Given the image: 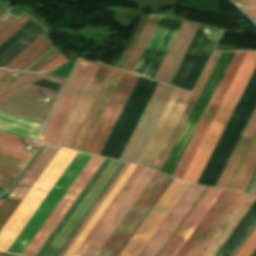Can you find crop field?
I'll return each instance as SVG.
<instances>
[{"mask_svg": "<svg viewBox=\"0 0 256 256\" xmlns=\"http://www.w3.org/2000/svg\"><path fill=\"white\" fill-rule=\"evenodd\" d=\"M235 54H236V52H235ZM235 54H234V56H235ZM245 54H246V52H237L235 58L233 56L234 60L232 58L233 62L231 60L232 64L230 62L231 66L229 64L230 68L228 66L229 70L227 68L228 72L226 70L227 74L225 72L226 76L224 74L225 78L223 76V78H224V80L222 78L223 82L221 80L222 84L220 82L221 86L219 84L220 88L218 86L219 90L217 88L218 92L216 90V92H217V93L215 92L216 95L214 93L215 97L213 95L214 99L212 97L213 101L211 99L212 103L210 101L211 105L209 103L210 107L208 105L209 109L207 107L208 111L206 109L207 113L205 111L206 115L204 113L205 117L203 115L204 119L202 117L203 121L201 119L202 123L200 121L201 125L199 123L200 127L198 125V127H199V129L197 127L198 131L196 129L197 133L195 131L196 135L194 133V135H195V136L193 135L194 138L192 136L193 140L191 138L192 142L190 140L191 144L189 142L190 146L188 144L189 148L187 146L188 150L186 148L187 152L185 150L186 154L184 152L185 156L183 154L184 158L182 156L183 160L181 158L182 162L180 160L181 164L179 162L180 166L178 164L179 168L177 166V168H178V170L176 168L177 172L175 170L176 174L174 172L175 177L183 180V178H184V176H185V174H186V172H187V170H188V168H189V166H190V164H191V162H192V160H193V158H194V156H195V154H196V152H197V150H198V148H199V146H200V144H201V142H202V140H203V138H204V136H205V134H206L242 60H243V58H244V56H245ZM255 64H256V51L255 52H247L241 66H240V68H239V70H238V72H237V74H236V76H235V78H234V80H233V82H232V84H231V86H230V88H229V90H228V92H227V94H226V96H225V98H224L188 172H187V174H186V176H185V178H184V181L194 182V183L197 182V180H198V178H199V176H200V174H201V172H202V170H203V168H204V166H205V164H206V162H207V160H208V158H209V156H210V154H211V152H212V150H213V148H214V146H215V144H216V142H217L253 68H254V66H255ZM174 174H173V176H174Z\"/></svg>", "mask_w": 256, "mask_h": 256, "instance_id": "obj_1", "label": "crop field"}, {"mask_svg": "<svg viewBox=\"0 0 256 256\" xmlns=\"http://www.w3.org/2000/svg\"><path fill=\"white\" fill-rule=\"evenodd\" d=\"M135 168L130 164L65 256L74 254ZM154 174L151 169L137 166L73 256H95Z\"/></svg>", "mask_w": 256, "mask_h": 256, "instance_id": "obj_2", "label": "crop field"}, {"mask_svg": "<svg viewBox=\"0 0 256 256\" xmlns=\"http://www.w3.org/2000/svg\"><path fill=\"white\" fill-rule=\"evenodd\" d=\"M241 196L208 187L159 256H198Z\"/></svg>", "mask_w": 256, "mask_h": 256, "instance_id": "obj_3", "label": "crop field"}, {"mask_svg": "<svg viewBox=\"0 0 256 256\" xmlns=\"http://www.w3.org/2000/svg\"><path fill=\"white\" fill-rule=\"evenodd\" d=\"M219 54H220V52L219 53H214L212 55V57L210 58V60L207 64V66H206V68H205V70H204V72H203V74H202V76H201V78H200V80H199V82H198V84H197V86H196V88H195V90H194V92H193V94H192V96H191V98H190V100H189V102H188V104H187V106H186V108H185V110H184L176 128H175V130L173 131V133H172V135H171V137H170V139H169V141H168V143H167V145H166V147H165V149H164V151H163V153H162V155H161V157H160V159H159V161H158V163L155 167V170L161 171V169H162V167H163V165H164V163H165V161H166V159H167V157H168V155H169V153H170V151H171V149H172V147H173V145H174V143H175V141H176V139H177V137H178V135H179V133H180V131H181L188 115H189V113H190V111L192 110V108H193V106H194V104H195V102H196V100H197V98H198V96H199V94H200V92H201V90H202V88H203V86H204V84H205V82H206V80H207V78H208L216 60H217V58H218V56H219ZM231 54H232V52H221V54H220V56H219V58H218V60L215 64V66H214V68H213V70H212V72H211V74H210V76H209V78H208V80H207V82H206V84H205V86H204V88H203V90H202V92H201V94H200L192 112L190 113V115H189V117H188V119H187V121H186V123H185V125H184V127H183V129H182V131H181V133H180V135H179V137H178V139H177V141H176V143H175V145H174V147H173V149H172V151H171V153H170V155H169V157H168V159H167V161H166V163L163 167V169H162V172L171 175V173H172V171H173V169H174V167H175V165H176V163H177V161H178V159H179V157H180V155H181V153H182V151H183V149H184V147H185V145H186V143H187V141H188V139H189V137H190V135H191V133H192L199 117H200V115H201V113L203 112V110H204V108H205V106H206V104H207V102H208V100H209V98H210V96H211V94H212V92H213V90H214V88H215V86H216V84H217V82H218V80H219V78H220L228 60H229V58H230V56H231Z\"/></svg>", "mask_w": 256, "mask_h": 256, "instance_id": "obj_4", "label": "crop field"}, {"mask_svg": "<svg viewBox=\"0 0 256 256\" xmlns=\"http://www.w3.org/2000/svg\"><path fill=\"white\" fill-rule=\"evenodd\" d=\"M44 96L57 99V96L25 87L1 100L0 110L44 124L53 107L41 102ZM1 111L0 130L32 140L36 139L42 124Z\"/></svg>", "mask_w": 256, "mask_h": 256, "instance_id": "obj_5", "label": "crop field"}, {"mask_svg": "<svg viewBox=\"0 0 256 256\" xmlns=\"http://www.w3.org/2000/svg\"><path fill=\"white\" fill-rule=\"evenodd\" d=\"M76 154V151L60 148L21 205L1 230V251L7 252Z\"/></svg>", "mask_w": 256, "mask_h": 256, "instance_id": "obj_6", "label": "crop field"}, {"mask_svg": "<svg viewBox=\"0 0 256 256\" xmlns=\"http://www.w3.org/2000/svg\"><path fill=\"white\" fill-rule=\"evenodd\" d=\"M170 180L171 177L156 172L98 254H118Z\"/></svg>", "mask_w": 256, "mask_h": 256, "instance_id": "obj_7", "label": "crop field"}, {"mask_svg": "<svg viewBox=\"0 0 256 256\" xmlns=\"http://www.w3.org/2000/svg\"><path fill=\"white\" fill-rule=\"evenodd\" d=\"M90 157V154L78 152L11 248L9 247V253L21 255Z\"/></svg>", "mask_w": 256, "mask_h": 256, "instance_id": "obj_8", "label": "crop field"}, {"mask_svg": "<svg viewBox=\"0 0 256 256\" xmlns=\"http://www.w3.org/2000/svg\"><path fill=\"white\" fill-rule=\"evenodd\" d=\"M104 160L105 158L92 155L90 160L87 162L85 167L79 173V175L69 187L67 192L64 194L62 199L59 201L55 209L52 211L50 216L47 218L45 223L42 225V227L32 239L30 244L27 246L25 251L22 253L23 256L37 255L39 250L50 237L52 232L63 219L65 214L68 212L72 204L75 202L77 197L80 195L82 190L85 188L87 183L90 181V179Z\"/></svg>", "mask_w": 256, "mask_h": 256, "instance_id": "obj_9", "label": "crop field"}, {"mask_svg": "<svg viewBox=\"0 0 256 256\" xmlns=\"http://www.w3.org/2000/svg\"><path fill=\"white\" fill-rule=\"evenodd\" d=\"M191 93L174 88L137 164L154 169Z\"/></svg>", "mask_w": 256, "mask_h": 256, "instance_id": "obj_10", "label": "crop field"}, {"mask_svg": "<svg viewBox=\"0 0 256 256\" xmlns=\"http://www.w3.org/2000/svg\"><path fill=\"white\" fill-rule=\"evenodd\" d=\"M189 183L173 179L119 256H138L156 232Z\"/></svg>", "mask_w": 256, "mask_h": 256, "instance_id": "obj_11", "label": "crop field"}, {"mask_svg": "<svg viewBox=\"0 0 256 256\" xmlns=\"http://www.w3.org/2000/svg\"><path fill=\"white\" fill-rule=\"evenodd\" d=\"M94 63L82 60L78 62L61 98L59 99L43 133L48 134L40 143L54 145L73 105L75 104Z\"/></svg>", "mask_w": 256, "mask_h": 256, "instance_id": "obj_12", "label": "crop field"}, {"mask_svg": "<svg viewBox=\"0 0 256 256\" xmlns=\"http://www.w3.org/2000/svg\"><path fill=\"white\" fill-rule=\"evenodd\" d=\"M173 87L158 84L121 160L136 163L154 125L156 124ZM120 160V159H119Z\"/></svg>", "mask_w": 256, "mask_h": 256, "instance_id": "obj_13", "label": "crop field"}, {"mask_svg": "<svg viewBox=\"0 0 256 256\" xmlns=\"http://www.w3.org/2000/svg\"><path fill=\"white\" fill-rule=\"evenodd\" d=\"M206 187L190 184L139 256H157Z\"/></svg>", "mask_w": 256, "mask_h": 256, "instance_id": "obj_14", "label": "crop field"}, {"mask_svg": "<svg viewBox=\"0 0 256 256\" xmlns=\"http://www.w3.org/2000/svg\"><path fill=\"white\" fill-rule=\"evenodd\" d=\"M137 76L124 72L105 112L103 113L85 152L99 155Z\"/></svg>", "mask_w": 256, "mask_h": 256, "instance_id": "obj_15", "label": "crop field"}, {"mask_svg": "<svg viewBox=\"0 0 256 256\" xmlns=\"http://www.w3.org/2000/svg\"><path fill=\"white\" fill-rule=\"evenodd\" d=\"M99 65L95 64L76 104L74 105L55 145L56 146H62V147H67L69 148L81 122L83 121L93 99L95 97V95L97 94L108 70L109 67H105L100 65L99 69H98ZM98 69V71H97ZM97 71V73H96ZM96 73V75H95ZM95 75V77H94ZM94 77V79H93ZM93 79V81L91 82V80ZM91 82V84H90ZM90 84V86H89ZM89 86V88H88ZM88 88V90H87ZM87 90V92H86ZM86 92V94H85ZM85 94L86 97H92V98H86L83 97Z\"/></svg>", "mask_w": 256, "mask_h": 256, "instance_id": "obj_16", "label": "crop field"}, {"mask_svg": "<svg viewBox=\"0 0 256 256\" xmlns=\"http://www.w3.org/2000/svg\"><path fill=\"white\" fill-rule=\"evenodd\" d=\"M123 71L110 68L96 98L81 124L70 148L84 151L103 111L105 110Z\"/></svg>", "mask_w": 256, "mask_h": 256, "instance_id": "obj_17", "label": "crop field"}, {"mask_svg": "<svg viewBox=\"0 0 256 256\" xmlns=\"http://www.w3.org/2000/svg\"><path fill=\"white\" fill-rule=\"evenodd\" d=\"M58 150V147L44 145L7 198L21 202ZM19 204V202L7 199L2 203L0 206V230Z\"/></svg>", "mask_w": 256, "mask_h": 256, "instance_id": "obj_18", "label": "crop field"}, {"mask_svg": "<svg viewBox=\"0 0 256 256\" xmlns=\"http://www.w3.org/2000/svg\"><path fill=\"white\" fill-rule=\"evenodd\" d=\"M199 25L183 21L155 80L170 84L184 54L186 53Z\"/></svg>", "mask_w": 256, "mask_h": 256, "instance_id": "obj_19", "label": "crop field"}, {"mask_svg": "<svg viewBox=\"0 0 256 256\" xmlns=\"http://www.w3.org/2000/svg\"><path fill=\"white\" fill-rule=\"evenodd\" d=\"M256 135V108L253 111L235 149L233 150L216 187L229 188Z\"/></svg>", "mask_w": 256, "mask_h": 256, "instance_id": "obj_20", "label": "crop field"}, {"mask_svg": "<svg viewBox=\"0 0 256 256\" xmlns=\"http://www.w3.org/2000/svg\"><path fill=\"white\" fill-rule=\"evenodd\" d=\"M255 200L243 194L199 256H215Z\"/></svg>", "mask_w": 256, "mask_h": 256, "instance_id": "obj_21", "label": "crop field"}, {"mask_svg": "<svg viewBox=\"0 0 256 256\" xmlns=\"http://www.w3.org/2000/svg\"><path fill=\"white\" fill-rule=\"evenodd\" d=\"M161 16L156 14L149 15L124 67L123 70L133 73L146 45L148 44Z\"/></svg>", "mask_w": 256, "mask_h": 256, "instance_id": "obj_22", "label": "crop field"}, {"mask_svg": "<svg viewBox=\"0 0 256 256\" xmlns=\"http://www.w3.org/2000/svg\"><path fill=\"white\" fill-rule=\"evenodd\" d=\"M28 145L31 147H40L39 144L17 138L0 132V153L20 160L29 162L32 153L22 151Z\"/></svg>", "mask_w": 256, "mask_h": 256, "instance_id": "obj_23", "label": "crop field"}, {"mask_svg": "<svg viewBox=\"0 0 256 256\" xmlns=\"http://www.w3.org/2000/svg\"><path fill=\"white\" fill-rule=\"evenodd\" d=\"M256 168V137L230 187V189L244 191ZM229 189V188H228Z\"/></svg>", "mask_w": 256, "mask_h": 256, "instance_id": "obj_24", "label": "crop field"}, {"mask_svg": "<svg viewBox=\"0 0 256 256\" xmlns=\"http://www.w3.org/2000/svg\"><path fill=\"white\" fill-rule=\"evenodd\" d=\"M52 45L51 41L44 37H40L36 40L30 47L13 59L9 64H7L5 69L20 70L40 54H42L47 48Z\"/></svg>", "mask_w": 256, "mask_h": 256, "instance_id": "obj_25", "label": "crop field"}, {"mask_svg": "<svg viewBox=\"0 0 256 256\" xmlns=\"http://www.w3.org/2000/svg\"><path fill=\"white\" fill-rule=\"evenodd\" d=\"M38 76L37 74H28V73H20L15 72L1 87H0V95L3 93L15 88L16 86Z\"/></svg>", "mask_w": 256, "mask_h": 256, "instance_id": "obj_26", "label": "crop field"}, {"mask_svg": "<svg viewBox=\"0 0 256 256\" xmlns=\"http://www.w3.org/2000/svg\"><path fill=\"white\" fill-rule=\"evenodd\" d=\"M31 19L32 18L30 16L24 13L20 17H18L13 23H11L6 29H4L0 33V44H2L5 40L11 37L14 33H16Z\"/></svg>", "mask_w": 256, "mask_h": 256, "instance_id": "obj_27", "label": "crop field"}, {"mask_svg": "<svg viewBox=\"0 0 256 256\" xmlns=\"http://www.w3.org/2000/svg\"><path fill=\"white\" fill-rule=\"evenodd\" d=\"M256 248V228L251 233L249 238L246 240L244 245L241 247L236 256H250Z\"/></svg>", "mask_w": 256, "mask_h": 256, "instance_id": "obj_28", "label": "crop field"}, {"mask_svg": "<svg viewBox=\"0 0 256 256\" xmlns=\"http://www.w3.org/2000/svg\"><path fill=\"white\" fill-rule=\"evenodd\" d=\"M22 169L0 163V173L17 178Z\"/></svg>", "mask_w": 256, "mask_h": 256, "instance_id": "obj_29", "label": "crop field"}, {"mask_svg": "<svg viewBox=\"0 0 256 256\" xmlns=\"http://www.w3.org/2000/svg\"><path fill=\"white\" fill-rule=\"evenodd\" d=\"M65 62H67V60L60 55L56 59H54L51 63H49L46 67H44L42 70H40L39 72L45 73L63 63H65Z\"/></svg>", "mask_w": 256, "mask_h": 256, "instance_id": "obj_30", "label": "crop field"}, {"mask_svg": "<svg viewBox=\"0 0 256 256\" xmlns=\"http://www.w3.org/2000/svg\"><path fill=\"white\" fill-rule=\"evenodd\" d=\"M58 55V51L55 49L51 54H49L40 64H38L36 67H34L32 70L33 72L39 71L41 68H43L45 65H47L50 61H52L54 58H56Z\"/></svg>", "mask_w": 256, "mask_h": 256, "instance_id": "obj_31", "label": "crop field"}, {"mask_svg": "<svg viewBox=\"0 0 256 256\" xmlns=\"http://www.w3.org/2000/svg\"><path fill=\"white\" fill-rule=\"evenodd\" d=\"M14 181H15V178L0 174V187L9 189V187L12 185Z\"/></svg>", "mask_w": 256, "mask_h": 256, "instance_id": "obj_32", "label": "crop field"}, {"mask_svg": "<svg viewBox=\"0 0 256 256\" xmlns=\"http://www.w3.org/2000/svg\"><path fill=\"white\" fill-rule=\"evenodd\" d=\"M16 17H14L13 15L8 13L2 20H0V32L5 27H7L12 21H14L16 19Z\"/></svg>", "mask_w": 256, "mask_h": 256, "instance_id": "obj_33", "label": "crop field"}, {"mask_svg": "<svg viewBox=\"0 0 256 256\" xmlns=\"http://www.w3.org/2000/svg\"><path fill=\"white\" fill-rule=\"evenodd\" d=\"M244 11H246L251 17H256V7H246L240 6Z\"/></svg>", "mask_w": 256, "mask_h": 256, "instance_id": "obj_34", "label": "crop field"}, {"mask_svg": "<svg viewBox=\"0 0 256 256\" xmlns=\"http://www.w3.org/2000/svg\"><path fill=\"white\" fill-rule=\"evenodd\" d=\"M248 194H252V195H255L256 193V175L247 191Z\"/></svg>", "mask_w": 256, "mask_h": 256, "instance_id": "obj_35", "label": "crop field"}, {"mask_svg": "<svg viewBox=\"0 0 256 256\" xmlns=\"http://www.w3.org/2000/svg\"><path fill=\"white\" fill-rule=\"evenodd\" d=\"M242 5L256 6V0H234Z\"/></svg>", "mask_w": 256, "mask_h": 256, "instance_id": "obj_36", "label": "crop field"}, {"mask_svg": "<svg viewBox=\"0 0 256 256\" xmlns=\"http://www.w3.org/2000/svg\"><path fill=\"white\" fill-rule=\"evenodd\" d=\"M14 72L8 71L1 79H0V85L7 80Z\"/></svg>", "mask_w": 256, "mask_h": 256, "instance_id": "obj_37", "label": "crop field"}, {"mask_svg": "<svg viewBox=\"0 0 256 256\" xmlns=\"http://www.w3.org/2000/svg\"><path fill=\"white\" fill-rule=\"evenodd\" d=\"M23 87H24V85H22V86H20V87H18V88H16V89H14V90H12V91H10V92L4 94V95H2V96L0 97V99L3 98V97H5V96H7V95H9V94H11V93H13V92H15V91H17V90H19V89H21V88H23Z\"/></svg>", "mask_w": 256, "mask_h": 256, "instance_id": "obj_38", "label": "crop field"}, {"mask_svg": "<svg viewBox=\"0 0 256 256\" xmlns=\"http://www.w3.org/2000/svg\"><path fill=\"white\" fill-rule=\"evenodd\" d=\"M71 54H72V52H71L69 55L65 56V57L68 58L70 61H72V60L78 58V57H76V56H72Z\"/></svg>", "mask_w": 256, "mask_h": 256, "instance_id": "obj_39", "label": "crop field"}, {"mask_svg": "<svg viewBox=\"0 0 256 256\" xmlns=\"http://www.w3.org/2000/svg\"><path fill=\"white\" fill-rule=\"evenodd\" d=\"M12 8H8L1 16H0V19L3 17V16H5V14L9 11V10H11Z\"/></svg>", "mask_w": 256, "mask_h": 256, "instance_id": "obj_40", "label": "crop field"}, {"mask_svg": "<svg viewBox=\"0 0 256 256\" xmlns=\"http://www.w3.org/2000/svg\"><path fill=\"white\" fill-rule=\"evenodd\" d=\"M7 71L0 70V78L6 73Z\"/></svg>", "mask_w": 256, "mask_h": 256, "instance_id": "obj_41", "label": "crop field"}, {"mask_svg": "<svg viewBox=\"0 0 256 256\" xmlns=\"http://www.w3.org/2000/svg\"><path fill=\"white\" fill-rule=\"evenodd\" d=\"M4 201V199L3 200H0V205H1V203Z\"/></svg>", "mask_w": 256, "mask_h": 256, "instance_id": "obj_42", "label": "crop field"}, {"mask_svg": "<svg viewBox=\"0 0 256 256\" xmlns=\"http://www.w3.org/2000/svg\"><path fill=\"white\" fill-rule=\"evenodd\" d=\"M3 256H11V255H6V254H4Z\"/></svg>", "mask_w": 256, "mask_h": 256, "instance_id": "obj_43", "label": "crop field"}, {"mask_svg": "<svg viewBox=\"0 0 256 256\" xmlns=\"http://www.w3.org/2000/svg\"><path fill=\"white\" fill-rule=\"evenodd\" d=\"M3 254L2 253H0V256H2Z\"/></svg>", "mask_w": 256, "mask_h": 256, "instance_id": "obj_44", "label": "crop field"}]
</instances>
